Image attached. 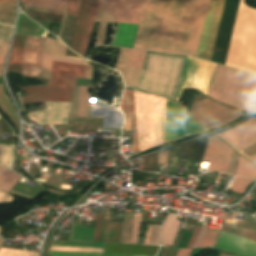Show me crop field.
<instances>
[{
    "instance_id": "crop-field-34",
    "label": "crop field",
    "mask_w": 256,
    "mask_h": 256,
    "mask_svg": "<svg viewBox=\"0 0 256 256\" xmlns=\"http://www.w3.org/2000/svg\"><path fill=\"white\" fill-rule=\"evenodd\" d=\"M51 245L104 248V244L52 241Z\"/></svg>"
},
{
    "instance_id": "crop-field-17",
    "label": "crop field",
    "mask_w": 256,
    "mask_h": 256,
    "mask_svg": "<svg viewBox=\"0 0 256 256\" xmlns=\"http://www.w3.org/2000/svg\"><path fill=\"white\" fill-rule=\"evenodd\" d=\"M215 247L226 249L242 256H256L255 242L223 231L221 232Z\"/></svg>"
},
{
    "instance_id": "crop-field-36",
    "label": "crop field",
    "mask_w": 256,
    "mask_h": 256,
    "mask_svg": "<svg viewBox=\"0 0 256 256\" xmlns=\"http://www.w3.org/2000/svg\"><path fill=\"white\" fill-rule=\"evenodd\" d=\"M141 217H142V213H135L132 240H131V243H134V244H136L137 242L138 233L141 225Z\"/></svg>"
},
{
    "instance_id": "crop-field-1",
    "label": "crop field",
    "mask_w": 256,
    "mask_h": 256,
    "mask_svg": "<svg viewBox=\"0 0 256 256\" xmlns=\"http://www.w3.org/2000/svg\"><path fill=\"white\" fill-rule=\"evenodd\" d=\"M209 0H145L136 49L196 56Z\"/></svg>"
},
{
    "instance_id": "crop-field-39",
    "label": "crop field",
    "mask_w": 256,
    "mask_h": 256,
    "mask_svg": "<svg viewBox=\"0 0 256 256\" xmlns=\"http://www.w3.org/2000/svg\"><path fill=\"white\" fill-rule=\"evenodd\" d=\"M8 43V41L0 40V64H3L5 61Z\"/></svg>"
},
{
    "instance_id": "crop-field-12",
    "label": "crop field",
    "mask_w": 256,
    "mask_h": 256,
    "mask_svg": "<svg viewBox=\"0 0 256 256\" xmlns=\"http://www.w3.org/2000/svg\"><path fill=\"white\" fill-rule=\"evenodd\" d=\"M233 149L216 136L209 138L203 162H209V171L227 173Z\"/></svg>"
},
{
    "instance_id": "crop-field-38",
    "label": "crop field",
    "mask_w": 256,
    "mask_h": 256,
    "mask_svg": "<svg viewBox=\"0 0 256 256\" xmlns=\"http://www.w3.org/2000/svg\"><path fill=\"white\" fill-rule=\"evenodd\" d=\"M80 0H69L66 14L76 16Z\"/></svg>"
},
{
    "instance_id": "crop-field-20",
    "label": "crop field",
    "mask_w": 256,
    "mask_h": 256,
    "mask_svg": "<svg viewBox=\"0 0 256 256\" xmlns=\"http://www.w3.org/2000/svg\"><path fill=\"white\" fill-rule=\"evenodd\" d=\"M21 177L14 172L0 167V203L10 204L13 196L7 195Z\"/></svg>"
},
{
    "instance_id": "crop-field-46",
    "label": "crop field",
    "mask_w": 256,
    "mask_h": 256,
    "mask_svg": "<svg viewBox=\"0 0 256 256\" xmlns=\"http://www.w3.org/2000/svg\"><path fill=\"white\" fill-rule=\"evenodd\" d=\"M21 1H22L23 5L25 6V8H27L31 0H21Z\"/></svg>"
},
{
    "instance_id": "crop-field-43",
    "label": "crop field",
    "mask_w": 256,
    "mask_h": 256,
    "mask_svg": "<svg viewBox=\"0 0 256 256\" xmlns=\"http://www.w3.org/2000/svg\"><path fill=\"white\" fill-rule=\"evenodd\" d=\"M200 228H201V227H195V230H194L193 236H192V238H191V240H190V242H189V244H188V246H187V247H189V248H191V247H192V245H193V243H194V241H195V239H196V236H197V234H198V232H199Z\"/></svg>"
},
{
    "instance_id": "crop-field-27",
    "label": "crop field",
    "mask_w": 256,
    "mask_h": 256,
    "mask_svg": "<svg viewBox=\"0 0 256 256\" xmlns=\"http://www.w3.org/2000/svg\"><path fill=\"white\" fill-rule=\"evenodd\" d=\"M67 0H32L30 6L64 13Z\"/></svg>"
},
{
    "instance_id": "crop-field-4",
    "label": "crop field",
    "mask_w": 256,
    "mask_h": 256,
    "mask_svg": "<svg viewBox=\"0 0 256 256\" xmlns=\"http://www.w3.org/2000/svg\"><path fill=\"white\" fill-rule=\"evenodd\" d=\"M144 0H100L95 20L100 21L96 44L103 45L107 21L138 24ZM137 25L119 23L111 45L132 47Z\"/></svg>"
},
{
    "instance_id": "crop-field-32",
    "label": "crop field",
    "mask_w": 256,
    "mask_h": 256,
    "mask_svg": "<svg viewBox=\"0 0 256 256\" xmlns=\"http://www.w3.org/2000/svg\"><path fill=\"white\" fill-rule=\"evenodd\" d=\"M48 256H144V255L94 254V253L49 251Z\"/></svg>"
},
{
    "instance_id": "crop-field-21",
    "label": "crop field",
    "mask_w": 256,
    "mask_h": 256,
    "mask_svg": "<svg viewBox=\"0 0 256 256\" xmlns=\"http://www.w3.org/2000/svg\"><path fill=\"white\" fill-rule=\"evenodd\" d=\"M25 38L26 35H15L7 71L21 72Z\"/></svg>"
},
{
    "instance_id": "crop-field-6",
    "label": "crop field",
    "mask_w": 256,
    "mask_h": 256,
    "mask_svg": "<svg viewBox=\"0 0 256 256\" xmlns=\"http://www.w3.org/2000/svg\"><path fill=\"white\" fill-rule=\"evenodd\" d=\"M91 67L53 61L47 88H22L27 97L23 102L71 101L76 77L90 79Z\"/></svg>"
},
{
    "instance_id": "crop-field-48",
    "label": "crop field",
    "mask_w": 256,
    "mask_h": 256,
    "mask_svg": "<svg viewBox=\"0 0 256 256\" xmlns=\"http://www.w3.org/2000/svg\"><path fill=\"white\" fill-rule=\"evenodd\" d=\"M2 68H3V66H0V75L2 74Z\"/></svg>"
},
{
    "instance_id": "crop-field-26",
    "label": "crop field",
    "mask_w": 256,
    "mask_h": 256,
    "mask_svg": "<svg viewBox=\"0 0 256 256\" xmlns=\"http://www.w3.org/2000/svg\"><path fill=\"white\" fill-rule=\"evenodd\" d=\"M0 109L19 129L17 111L13 107L12 103L9 101L8 97L5 96L2 84L0 85Z\"/></svg>"
},
{
    "instance_id": "crop-field-28",
    "label": "crop field",
    "mask_w": 256,
    "mask_h": 256,
    "mask_svg": "<svg viewBox=\"0 0 256 256\" xmlns=\"http://www.w3.org/2000/svg\"><path fill=\"white\" fill-rule=\"evenodd\" d=\"M235 175L256 180V167L240 156Z\"/></svg>"
},
{
    "instance_id": "crop-field-24",
    "label": "crop field",
    "mask_w": 256,
    "mask_h": 256,
    "mask_svg": "<svg viewBox=\"0 0 256 256\" xmlns=\"http://www.w3.org/2000/svg\"><path fill=\"white\" fill-rule=\"evenodd\" d=\"M98 2H99V0H91L90 1L89 10H88V14H87V18H86V22H85V26H84V31H83L79 51H78V54H80L81 56H84V52H85L87 42H88V39L90 36V32H91V29L93 26Z\"/></svg>"
},
{
    "instance_id": "crop-field-22",
    "label": "crop field",
    "mask_w": 256,
    "mask_h": 256,
    "mask_svg": "<svg viewBox=\"0 0 256 256\" xmlns=\"http://www.w3.org/2000/svg\"><path fill=\"white\" fill-rule=\"evenodd\" d=\"M90 0H81L79 11H78V16L74 28V33L71 41L70 48H72L74 51H78L81 35H82V30L88 10V5H89Z\"/></svg>"
},
{
    "instance_id": "crop-field-18",
    "label": "crop field",
    "mask_w": 256,
    "mask_h": 256,
    "mask_svg": "<svg viewBox=\"0 0 256 256\" xmlns=\"http://www.w3.org/2000/svg\"><path fill=\"white\" fill-rule=\"evenodd\" d=\"M121 109L126 115L125 131L133 130L132 148L134 154L139 151V147L137 137L134 96L132 91L124 90Z\"/></svg>"
},
{
    "instance_id": "crop-field-13",
    "label": "crop field",
    "mask_w": 256,
    "mask_h": 256,
    "mask_svg": "<svg viewBox=\"0 0 256 256\" xmlns=\"http://www.w3.org/2000/svg\"><path fill=\"white\" fill-rule=\"evenodd\" d=\"M65 51L66 46L61 41L56 39L45 40L41 77L49 79V75L52 69V60L89 66L88 63L80 57L65 56Z\"/></svg>"
},
{
    "instance_id": "crop-field-33",
    "label": "crop field",
    "mask_w": 256,
    "mask_h": 256,
    "mask_svg": "<svg viewBox=\"0 0 256 256\" xmlns=\"http://www.w3.org/2000/svg\"><path fill=\"white\" fill-rule=\"evenodd\" d=\"M0 256H38V252L1 248Z\"/></svg>"
},
{
    "instance_id": "crop-field-3",
    "label": "crop field",
    "mask_w": 256,
    "mask_h": 256,
    "mask_svg": "<svg viewBox=\"0 0 256 256\" xmlns=\"http://www.w3.org/2000/svg\"><path fill=\"white\" fill-rule=\"evenodd\" d=\"M243 2L240 1L225 65L256 76V10Z\"/></svg>"
},
{
    "instance_id": "crop-field-37",
    "label": "crop field",
    "mask_w": 256,
    "mask_h": 256,
    "mask_svg": "<svg viewBox=\"0 0 256 256\" xmlns=\"http://www.w3.org/2000/svg\"><path fill=\"white\" fill-rule=\"evenodd\" d=\"M252 181L244 180L241 178H235L231 190L237 193L243 194L248 183Z\"/></svg>"
},
{
    "instance_id": "crop-field-14",
    "label": "crop field",
    "mask_w": 256,
    "mask_h": 256,
    "mask_svg": "<svg viewBox=\"0 0 256 256\" xmlns=\"http://www.w3.org/2000/svg\"><path fill=\"white\" fill-rule=\"evenodd\" d=\"M146 52L122 49L116 66L127 86L136 87Z\"/></svg>"
},
{
    "instance_id": "crop-field-5",
    "label": "crop field",
    "mask_w": 256,
    "mask_h": 256,
    "mask_svg": "<svg viewBox=\"0 0 256 256\" xmlns=\"http://www.w3.org/2000/svg\"><path fill=\"white\" fill-rule=\"evenodd\" d=\"M208 95L229 105L251 111L256 106V78L217 65Z\"/></svg>"
},
{
    "instance_id": "crop-field-11",
    "label": "crop field",
    "mask_w": 256,
    "mask_h": 256,
    "mask_svg": "<svg viewBox=\"0 0 256 256\" xmlns=\"http://www.w3.org/2000/svg\"><path fill=\"white\" fill-rule=\"evenodd\" d=\"M254 134H256V118L252 117L249 120H247L246 122L232 128L224 133L219 134V136L223 140H225L227 143L232 145V144L237 143L241 140H244ZM255 143H256V135H254L244 141H241L237 144H234L232 146L239 151V150L246 148L248 146H251ZM241 152L244 153L247 157H249L256 153V145H253L247 149H244ZM248 159H250L253 163L256 164V155H253V156L249 157Z\"/></svg>"
},
{
    "instance_id": "crop-field-41",
    "label": "crop field",
    "mask_w": 256,
    "mask_h": 256,
    "mask_svg": "<svg viewBox=\"0 0 256 256\" xmlns=\"http://www.w3.org/2000/svg\"><path fill=\"white\" fill-rule=\"evenodd\" d=\"M159 228L160 226L158 225L152 226L148 244H155V241L158 242L157 234L159 232Z\"/></svg>"
},
{
    "instance_id": "crop-field-2",
    "label": "crop field",
    "mask_w": 256,
    "mask_h": 256,
    "mask_svg": "<svg viewBox=\"0 0 256 256\" xmlns=\"http://www.w3.org/2000/svg\"><path fill=\"white\" fill-rule=\"evenodd\" d=\"M240 0H210L201 37V42L198 51V58L210 61L214 42L218 30V25L222 13H223L219 25V30L215 42V47L212 55V62L219 64L225 63L230 38L235 22V17Z\"/></svg>"
},
{
    "instance_id": "crop-field-23",
    "label": "crop field",
    "mask_w": 256,
    "mask_h": 256,
    "mask_svg": "<svg viewBox=\"0 0 256 256\" xmlns=\"http://www.w3.org/2000/svg\"><path fill=\"white\" fill-rule=\"evenodd\" d=\"M178 216L166 215L163 229L160 235L162 244L172 245L178 232L180 223L176 221Z\"/></svg>"
},
{
    "instance_id": "crop-field-40",
    "label": "crop field",
    "mask_w": 256,
    "mask_h": 256,
    "mask_svg": "<svg viewBox=\"0 0 256 256\" xmlns=\"http://www.w3.org/2000/svg\"><path fill=\"white\" fill-rule=\"evenodd\" d=\"M179 249L161 247L157 256H176Z\"/></svg>"
},
{
    "instance_id": "crop-field-31",
    "label": "crop field",
    "mask_w": 256,
    "mask_h": 256,
    "mask_svg": "<svg viewBox=\"0 0 256 256\" xmlns=\"http://www.w3.org/2000/svg\"><path fill=\"white\" fill-rule=\"evenodd\" d=\"M220 230L207 229L198 248H213Z\"/></svg>"
},
{
    "instance_id": "crop-field-15",
    "label": "crop field",
    "mask_w": 256,
    "mask_h": 256,
    "mask_svg": "<svg viewBox=\"0 0 256 256\" xmlns=\"http://www.w3.org/2000/svg\"><path fill=\"white\" fill-rule=\"evenodd\" d=\"M44 39L27 36L22 74L39 77Z\"/></svg>"
},
{
    "instance_id": "crop-field-19",
    "label": "crop field",
    "mask_w": 256,
    "mask_h": 256,
    "mask_svg": "<svg viewBox=\"0 0 256 256\" xmlns=\"http://www.w3.org/2000/svg\"><path fill=\"white\" fill-rule=\"evenodd\" d=\"M87 86H76L69 116L90 117V97Z\"/></svg>"
},
{
    "instance_id": "crop-field-44",
    "label": "crop field",
    "mask_w": 256,
    "mask_h": 256,
    "mask_svg": "<svg viewBox=\"0 0 256 256\" xmlns=\"http://www.w3.org/2000/svg\"><path fill=\"white\" fill-rule=\"evenodd\" d=\"M193 249H180L177 256H190Z\"/></svg>"
},
{
    "instance_id": "crop-field-35",
    "label": "crop field",
    "mask_w": 256,
    "mask_h": 256,
    "mask_svg": "<svg viewBox=\"0 0 256 256\" xmlns=\"http://www.w3.org/2000/svg\"><path fill=\"white\" fill-rule=\"evenodd\" d=\"M50 250H59V251H80V252H101L103 253L104 249H95V248H77V247H59L51 246Z\"/></svg>"
},
{
    "instance_id": "crop-field-10",
    "label": "crop field",
    "mask_w": 256,
    "mask_h": 256,
    "mask_svg": "<svg viewBox=\"0 0 256 256\" xmlns=\"http://www.w3.org/2000/svg\"><path fill=\"white\" fill-rule=\"evenodd\" d=\"M203 130L183 106L167 100L165 142Z\"/></svg>"
},
{
    "instance_id": "crop-field-42",
    "label": "crop field",
    "mask_w": 256,
    "mask_h": 256,
    "mask_svg": "<svg viewBox=\"0 0 256 256\" xmlns=\"http://www.w3.org/2000/svg\"><path fill=\"white\" fill-rule=\"evenodd\" d=\"M10 27L0 25V39L7 40Z\"/></svg>"
},
{
    "instance_id": "crop-field-9",
    "label": "crop field",
    "mask_w": 256,
    "mask_h": 256,
    "mask_svg": "<svg viewBox=\"0 0 256 256\" xmlns=\"http://www.w3.org/2000/svg\"><path fill=\"white\" fill-rule=\"evenodd\" d=\"M190 114L206 128L224 124L243 115L242 112L224 106L210 98L193 104L190 108Z\"/></svg>"
},
{
    "instance_id": "crop-field-50",
    "label": "crop field",
    "mask_w": 256,
    "mask_h": 256,
    "mask_svg": "<svg viewBox=\"0 0 256 256\" xmlns=\"http://www.w3.org/2000/svg\"><path fill=\"white\" fill-rule=\"evenodd\" d=\"M222 175H223V174L220 175V178L222 177ZM220 178H219V179H220Z\"/></svg>"
},
{
    "instance_id": "crop-field-30",
    "label": "crop field",
    "mask_w": 256,
    "mask_h": 256,
    "mask_svg": "<svg viewBox=\"0 0 256 256\" xmlns=\"http://www.w3.org/2000/svg\"><path fill=\"white\" fill-rule=\"evenodd\" d=\"M14 145H0V164L11 168L14 162Z\"/></svg>"
},
{
    "instance_id": "crop-field-8",
    "label": "crop field",
    "mask_w": 256,
    "mask_h": 256,
    "mask_svg": "<svg viewBox=\"0 0 256 256\" xmlns=\"http://www.w3.org/2000/svg\"><path fill=\"white\" fill-rule=\"evenodd\" d=\"M215 66L212 63L187 57L175 100L178 101L182 90L186 88H194L207 95Z\"/></svg>"
},
{
    "instance_id": "crop-field-47",
    "label": "crop field",
    "mask_w": 256,
    "mask_h": 256,
    "mask_svg": "<svg viewBox=\"0 0 256 256\" xmlns=\"http://www.w3.org/2000/svg\"><path fill=\"white\" fill-rule=\"evenodd\" d=\"M104 224H105V222H103V225H102V232H101V239H100V242H101V240H102V235H103Z\"/></svg>"
},
{
    "instance_id": "crop-field-7",
    "label": "crop field",
    "mask_w": 256,
    "mask_h": 256,
    "mask_svg": "<svg viewBox=\"0 0 256 256\" xmlns=\"http://www.w3.org/2000/svg\"><path fill=\"white\" fill-rule=\"evenodd\" d=\"M134 95L141 151L164 142L166 99L136 90H134Z\"/></svg>"
},
{
    "instance_id": "crop-field-29",
    "label": "crop field",
    "mask_w": 256,
    "mask_h": 256,
    "mask_svg": "<svg viewBox=\"0 0 256 256\" xmlns=\"http://www.w3.org/2000/svg\"><path fill=\"white\" fill-rule=\"evenodd\" d=\"M134 213H124L120 243H130Z\"/></svg>"
},
{
    "instance_id": "crop-field-45",
    "label": "crop field",
    "mask_w": 256,
    "mask_h": 256,
    "mask_svg": "<svg viewBox=\"0 0 256 256\" xmlns=\"http://www.w3.org/2000/svg\"><path fill=\"white\" fill-rule=\"evenodd\" d=\"M204 226H205V225L202 226V229H201V231H200V233H199V235H198V237H197V239H196V241H195V243H194V245H193L192 248H197V247H198V245H199V243H200V240H201V238H202V236H203V233H204V231H205V229H206V226H205V228H204ZM203 228H204V230H203ZM202 230H203V232H202ZM201 232H202V234H201Z\"/></svg>"
},
{
    "instance_id": "crop-field-16",
    "label": "crop field",
    "mask_w": 256,
    "mask_h": 256,
    "mask_svg": "<svg viewBox=\"0 0 256 256\" xmlns=\"http://www.w3.org/2000/svg\"><path fill=\"white\" fill-rule=\"evenodd\" d=\"M45 104L47 109L29 113V118L39 125L66 124L71 102Z\"/></svg>"
},
{
    "instance_id": "crop-field-25",
    "label": "crop field",
    "mask_w": 256,
    "mask_h": 256,
    "mask_svg": "<svg viewBox=\"0 0 256 256\" xmlns=\"http://www.w3.org/2000/svg\"><path fill=\"white\" fill-rule=\"evenodd\" d=\"M16 10V0H0V23L13 25Z\"/></svg>"
},
{
    "instance_id": "crop-field-49",
    "label": "crop field",
    "mask_w": 256,
    "mask_h": 256,
    "mask_svg": "<svg viewBox=\"0 0 256 256\" xmlns=\"http://www.w3.org/2000/svg\"><path fill=\"white\" fill-rule=\"evenodd\" d=\"M2 243H3V240H0V247H1Z\"/></svg>"
}]
</instances>
